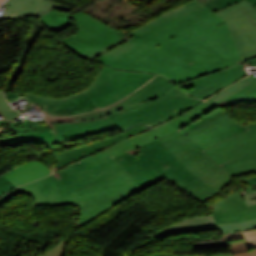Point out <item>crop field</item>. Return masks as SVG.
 I'll list each match as a JSON object with an SVG mask.
<instances>
[{"label":"crop field","instance_id":"1","mask_svg":"<svg viewBox=\"0 0 256 256\" xmlns=\"http://www.w3.org/2000/svg\"><path fill=\"white\" fill-rule=\"evenodd\" d=\"M70 51L115 69L163 74L182 83L241 64L225 21L193 0L147 22L128 35L83 11H51L38 18ZM176 83V84H177Z\"/></svg>","mask_w":256,"mask_h":256},{"label":"crop field","instance_id":"2","mask_svg":"<svg viewBox=\"0 0 256 256\" xmlns=\"http://www.w3.org/2000/svg\"><path fill=\"white\" fill-rule=\"evenodd\" d=\"M140 190L130 174L103 150L12 190L0 198V204L20 191L32 194L35 204L74 203L81 209L80 222L84 224Z\"/></svg>","mask_w":256,"mask_h":256},{"label":"crop field","instance_id":"3","mask_svg":"<svg viewBox=\"0 0 256 256\" xmlns=\"http://www.w3.org/2000/svg\"><path fill=\"white\" fill-rule=\"evenodd\" d=\"M155 75L157 74L115 70L104 66L89 88L67 98L54 99L12 92H6V96L9 103L23 97L30 103L41 106L44 115H73L110 105L138 89Z\"/></svg>","mask_w":256,"mask_h":256},{"label":"crop field","instance_id":"4","mask_svg":"<svg viewBox=\"0 0 256 256\" xmlns=\"http://www.w3.org/2000/svg\"><path fill=\"white\" fill-rule=\"evenodd\" d=\"M115 159L142 189L166 178L201 202L219 194L190 172L159 139L119 155Z\"/></svg>","mask_w":256,"mask_h":256},{"label":"crop field","instance_id":"5","mask_svg":"<svg viewBox=\"0 0 256 256\" xmlns=\"http://www.w3.org/2000/svg\"><path fill=\"white\" fill-rule=\"evenodd\" d=\"M199 102H201V100L192 98L184 92L113 118L111 120L124 133L116 134L107 139L53 155L55 161L58 163L54 164L53 170L55 171L134 134L166 122L190 110ZM174 106H176V108H174Z\"/></svg>","mask_w":256,"mask_h":256},{"label":"crop field","instance_id":"6","mask_svg":"<svg viewBox=\"0 0 256 256\" xmlns=\"http://www.w3.org/2000/svg\"><path fill=\"white\" fill-rule=\"evenodd\" d=\"M175 85L167 78L158 75L135 93L110 107L83 115L44 118L54 131L56 142H67L92 134L116 130L118 127L106 116L130 104L159 98Z\"/></svg>","mask_w":256,"mask_h":256},{"label":"crop field","instance_id":"7","mask_svg":"<svg viewBox=\"0 0 256 256\" xmlns=\"http://www.w3.org/2000/svg\"><path fill=\"white\" fill-rule=\"evenodd\" d=\"M215 108L204 102L192 111L190 110L191 112L169 122L178 131L164 136L160 140L189 170L220 193L232 181V175L206 156L179 130Z\"/></svg>","mask_w":256,"mask_h":256},{"label":"crop field","instance_id":"8","mask_svg":"<svg viewBox=\"0 0 256 256\" xmlns=\"http://www.w3.org/2000/svg\"><path fill=\"white\" fill-rule=\"evenodd\" d=\"M215 14L227 22L242 62L256 57V9L243 0Z\"/></svg>","mask_w":256,"mask_h":256},{"label":"crop field","instance_id":"9","mask_svg":"<svg viewBox=\"0 0 256 256\" xmlns=\"http://www.w3.org/2000/svg\"><path fill=\"white\" fill-rule=\"evenodd\" d=\"M247 129L226 116L221 108L207 113L181 128L202 151Z\"/></svg>","mask_w":256,"mask_h":256},{"label":"crop field","instance_id":"10","mask_svg":"<svg viewBox=\"0 0 256 256\" xmlns=\"http://www.w3.org/2000/svg\"><path fill=\"white\" fill-rule=\"evenodd\" d=\"M247 76L243 65H237L211 75L180 84L189 94L203 100L211 97L222 88Z\"/></svg>","mask_w":256,"mask_h":256},{"label":"crop field","instance_id":"11","mask_svg":"<svg viewBox=\"0 0 256 256\" xmlns=\"http://www.w3.org/2000/svg\"><path fill=\"white\" fill-rule=\"evenodd\" d=\"M249 129L204 151L206 155L221 164L256 150V122Z\"/></svg>","mask_w":256,"mask_h":256},{"label":"crop field","instance_id":"12","mask_svg":"<svg viewBox=\"0 0 256 256\" xmlns=\"http://www.w3.org/2000/svg\"><path fill=\"white\" fill-rule=\"evenodd\" d=\"M213 217L217 224L256 218V205L247 207L241 194L237 191L214 204Z\"/></svg>","mask_w":256,"mask_h":256},{"label":"crop field","instance_id":"13","mask_svg":"<svg viewBox=\"0 0 256 256\" xmlns=\"http://www.w3.org/2000/svg\"><path fill=\"white\" fill-rule=\"evenodd\" d=\"M3 6L7 7L1 18L18 19L22 17H36L56 9L67 12L70 8L49 0H7Z\"/></svg>","mask_w":256,"mask_h":256},{"label":"crop field","instance_id":"14","mask_svg":"<svg viewBox=\"0 0 256 256\" xmlns=\"http://www.w3.org/2000/svg\"><path fill=\"white\" fill-rule=\"evenodd\" d=\"M218 229L219 228L215 224L212 215H208L194 218H186L173 226L156 232L154 236L156 238L162 239L172 234Z\"/></svg>","mask_w":256,"mask_h":256},{"label":"crop field","instance_id":"15","mask_svg":"<svg viewBox=\"0 0 256 256\" xmlns=\"http://www.w3.org/2000/svg\"><path fill=\"white\" fill-rule=\"evenodd\" d=\"M174 131H176V129L172 127L169 123H166L152 131L140 134L111 148H108L106 149V151L110 153L113 157H115L144 143H147L155 138H160Z\"/></svg>","mask_w":256,"mask_h":256},{"label":"crop field","instance_id":"16","mask_svg":"<svg viewBox=\"0 0 256 256\" xmlns=\"http://www.w3.org/2000/svg\"><path fill=\"white\" fill-rule=\"evenodd\" d=\"M50 173L51 171L48 168H46L41 162L35 160L2 175L18 186L40 177L47 176Z\"/></svg>","mask_w":256,"mask_h":256},{"label":"crop field","instance_id":"17","mask_svg":"<svg viewBox=\"0 0 256 256\" xmlns=\"http://www.w3.org/2000/svg\"><path fill=\"white\" fill-rule=\"evenodd\" d=\"M22 142H42L48 147L49 150H51L52 155L57 153L55 147V139L52 131L0 138V147H5Z\"/></svg>","mask_w":256,"mask_h":256},{"label":"crop field","instance_id":"18","mask_svg":"<svg viewBox=\"0 0 256 256\" xmlns=\"http://www.w3.org/2000/svg\"><path fill=\"white\" fill-rule=\"evenodd\" d=\"M235 178L246 173H256V151L221 164Z\"/></svg>","mask_w":256,"mask_h":256},{"label":"crop field","instance_id":"19","mask_svg":"<svg viewBox=\"0 0 256 256\" xmlns=\"http://www.w3.org/2000/svg\"><path fill=\"white\" fill-rule=\"evenodd\" d=\"M243 101L256 102V78L253 81H251L248 85H246L244 88L239 90L238 92L218 102L220 103V105H218V103L214 105L226 107L228 105L236 104L238 102H243Z\"/></svg>","mask_w":256,"mask_h":256},{"label":"crop field","instance_id":"20","mask_svg":"<svg viewBox=\"0 0 256 256\" xmlns=\"http://www.w3.org/2000/svg\"><path fill=\"white\" fill-rule=\"evenodd\" d=\"M11 126L17 134L51 130L49 125L44 121V118L42 120H31L28 118L24 120L22 123L17 122L11 124Z\"/></svg>","mask_w":256,"mask_h":256},{"label":"crop field","instance_id":"21","mask_svg":"<svg viewBox=\"0 0 256 256\" xmlns=\"http://www.w3.org/2000/svg\"><path fill=\"white\" fill-rule=\"evenodd\" d=\"M255 77H256V75L247 76V77L239 80L238 82L232 84L231 86L227 87L226 89L220 91L215 96L211 97L210 99H208L206 101H208L209 103L214 104V103L230 96L231 94H233L237 90L241 89L242 87H244L246 84H248Z\"/></svg>","mask_w":256,"mask_h":256},{"label":"crop field","instance_id":"22","mask_svg":"<svg viewBox=\"0 0 256 256\" xmlns=\"http://www.w3.org/2000/svg\"><path fill=\"white\" fill-rule=\"evenodd\" d=\"M0 111L9 121V123H14L23 119L27 116L20 115L16 110L12 109L5 100L4 93L0 91ZM4 117V118H5Z\"/></svg>","mask_w":256,"mask_h":256},{"label":"crop field","instance_id":"23","mask_svg":"<svg viewBox=\"0 0 256 256\" xmlns=\"http://www.w3.org/2000/svg\"><path fill=\"white\" fill-rule=\"evenodd\" d=\"M219 228L222 230L223 234L228 233H235L239 231L255 229L256 228V219L240 222V223H233V224H222L218 225Z\"/></svg>","mask_w":256,"mask_h":256},{"label":"crop field","instance_id":"24","mask_svg":"<svg viewBox=\"0 0 256 256\" xmlns=\"http://www.w3.org/2000/svg\"><path fill=\"white\" fill-rule=\"evenodd\" d=\"M241 0H200L203 5L215 12ZM256 8V0H247Z\"/></svg>","mask_w":256,"mask_h":256},{"label":"crop field","instance_id":"25","mask_svg":"<svg viewBox=\"0 0 256 256\" xmlns=\"http://www.w3.org/2000/svg\"><path fill=\"white\" fill-rule=\"evenodd\" d=\"M226 242L246 239L251 249L256 247V230L224 235Z\"/></svg>","mask_w":256,"mask_h":256},{"label":"crop field","instance_id":"26","mask_svg":"<svg viewBox=\"0 0 256 256\" xmlns=\"http://www.w3.org/2000/svg\"><path fill=\"white\" fill-rule=\"evenodd\" d=\"M181 92H184V91H183L182 89H180V88L176 85V86L173 87L165 96H163V97H161V98H159V99H155V100H152V101H150V102H145V103H142V104L130 105V106L124 108L123 110H121V111L118 112V113L111 114L110 116H108V118L111 119V118H113V117H116V116L121 115V114H123V113H126V112H128V111H131V110H133V109H135V108H138V107H140V106L149 104V103H151V102H154V101H157V100H160V99H163V98H165V97H168V96H171V95H174V94H177V93H181ZM123 111H125V112H123Z\"/></svg>","mask_w":256,"mask_h":256},{"label":"crop field","instance_id":"27","mask_svg":"<svg viewBox=\"0 0 256 256\" xmlns=\"http://www.w3.org/2000/svg\"><path fill=\"white\" fill-rule=\"evenodd\" d=\"M68 238L63 240L61 243L56 245L54 248H52L50 251H48L45 255L43 256H63L66 244L68 242Z\"/></svg>","mask_w":256,"mask_h":256},{"label":"crop field","instance_id":"28","mask_svg":"<svg viewBox=\"0 0 256 256\" xmlns=\"http://www.w3.org/2000/svg\"><path fill=\"white\" fill-rule=\"evenodd\" d=\"M227 246L225 240L193 243L194 248Z\"/></svg>","mask_w":256,"mask_h":256},{"label":"crop field","instance_id":"29","mask_svg":"<svg viewBox=\"0 0 256 256\" xmlns=\"http://www.w3.org/2000/svg\"><path fill=\"white\" fill-rule=\"evenodd\" d=\"M14 187L16 186L13 183L4 178L2 175L0 176V196Z\"/></svg>","mask_w":256,"mask_h":256},{"label":"crop field","instance_id":"30","mask_svg":"<svg viewBox=\"0 0 256 256\" xmlns=\"http://www.w3.org/2000/svg\"><path fill=\"white\" fill-rule=\"evenodd\" d=\"M247 206L256 204V191L243 195Z\"/></svg>","mask_w":256,"mask_h":256},{"label":"crop field","instance_id":"31","mask_svg":"<svg viewBox=\"0 0 256 256\" xmlns=\"http://www.w3.org/2000/svg\"><path fill=\"white\" fill-rule=\"evenodd\" d=\"M233 255L234 256H256V248L252 249V252H243V253H237Z\"/></svg>","mask_w":256,"mask_h":256},{"label":"crop field","instance_id":"32","mask_svg":"<svg viewBox=\"0 0 256 256\" xmlns=\"http://www.w3.org/2000/svg\"><path fill=\"white\" fill-rule=\"evenodd\" d=\"M238 181H241V182H244V183H247V184L253 185V184H255V183H256V177H251V178L241 179V180H238Z\"/></svg>","mask_w":256,"mask_h":256},{"label":"crop field","instance_id":"33","mask_svg":"<svg viewBox=\"0 0 256 256\" xmlns=\"http://www.w3.org/2000/svg\"><path fill=\"white\" fill-rule=\"evenodd\" d=\"M174 256H232V254H210V255H174Z\"/></svg>","mask_w":256,"mask_h":256},{"label":"crop field","instance_id":"34","mask_svg":"<svg viewBox=\"0 0 256 256\" xmlns=\"http://www.w3.org/2000/svg\"><path fill=\"white\" fill-rule=\"evenodd\" d=\"M245 65H246V67L255 66L256 65V58H252V59H249V60L245 61Z\"/></svg>","mask_w":256,"mask_h":256},{"label":"crop field","instance_id":"35","mask_svg":"<svg viewBox=\"0 0 256 256\" xmlns=\"http://www.w3.org/2000/svg\"><path fill=\"white\" fill-rule=\"evenodd\" d=\"M3 119L0 120V125L8 123L7 120L4 118V116L0 113Z\"/></svg>","mask_w":256,"mask_h":256},{"label":"crop field","instance_id":"36","mask_svg":"<svg viewBox=\"0 0 256 256\" xmlns=\"http://www.w3.org/2000/svg\"><path fill=\"white\" fill-rule=\"evenodd\" d=\"M4 0H0V5H1V3L3 2Z\"/></svg>","mask_w":256,"mask_h":256}]
</instances>
